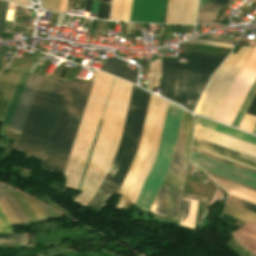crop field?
Listing matches in <instances>:
<instances>
[{
	"label": "crop field",
	"instance_id": "obj_10",
	"mask_svg": "<svg viewBox=\"0 0 256 256\" xmlns=\"http://www.w3.org/2000/svg\"><path fill=\"white\" fill-rule=\"evenodd\" d=\"M167 101H164L161 99L160 101V105H159V110H158V114H157V119H156V123H155V128H154V132H153V137H152V141H151V146H150V150H149V154L145 160V163L141 169V172L136 180V183L132 189V192L128 198L129 201H131L132 203H135L138 194L143 186V183L147 177V174L152 166V163L156 157V153H157V149H158V144H159V140H160V135H161V131H162V126H163V122H164V117H165V113H166V108H167Z\"/></svg>",
	"mask_w": 256,
	"mask_h": 256
},
{
	"label": "crop field",
	"instance_id": "obj_36",
	"mask_svg": "<svg viewBox=\"0 0 256 256\" xmlns=\"http://www.w3.org/2000/svg\"><path fill=\"white\" fill-rule=\"evenodd\" d=\"M104 5H105V3L100 2L97 18L102 19V17H103V11H104Z\"/></svg>",
	"mask_w": 256,
	"mask_h": 256
},
{
	"label": "crop field",
	"instance_id": "obj_46",
	"mask_svg": "<svg viewBox=\"0 0 256 256\" xmlns=\"http://www.w3.org/2000/svg\"><path fill=\"white\" fill-rule=\"evenodd\" d=\"M11 192H13V191H1V192H0V199L3 198V197H5V196H7V195L10 194Z\"/></svg>",
	"mask_w": 256,
	"mask_h": 256
},
{
	"label": "crop field",
	"instance_id": "obj_16",
	"mask_svg": "<svg viewBox=\"0 0 256 256\" xmlns=\"http://www.w3.org/2000/svg\"><path fill=\"white\" fill-rule=\"evenodd\" d=\"M196 123H197V124H200V125H203V126H205V127H208V128L214 129V130H217V131H219V132H222V133L231 135V136H233V137H236V138L245 140V141H247V142L256 144V138H254V137H251V136L245 135V134H243V133H240V132L231 130V129H229V128H226V127L220 126V125H218V124H215V123L206 121V120H204V119L197 118V119H196Z\"/></svg>",
	"mask_w": 256,
	"mask_h": 256
},
{
	"label": "crop field",
	"instance_id": "obj_27",
	"mask_svg": "<svg viewBox=\"0 0 256 256\" xmlns=\"http://www.w3.org/2000/svg\"><path fill=\"white\" fill-rule=\"evenodd\" d=\"M18 237L19 239H0V244L19 243L22 245L29 243L26 233L20 234Z\"/></svg>",
	"mask_w": 256,
	"mask_h": 256
},
{
	"label": "crop field",
	"instance_id": "obj_6",
	"mask_svg": "<svg viewBox=\"0 0 256 256\" xmlns=\"http://www.w3.org/2000/svg\"><path fill=\"white\" fill-rule=\"evenodd\" d=\"M252 50L253 48L242 45L235 55L230 54L228 56L212 76L195 113L208 118H214L232 82Z\"/></svg>",
	"mask_w": 256,
	"mask_h": 256
},
{
	"label": "crop field",
	"instance_id": "obj_45",
	"mask_svg": "<svg viewBox=\"0 0 256 256\" xmlns=\"http://www.w3.org/2000/svg\"><path fill=\"white\" fill-rule=\"evenodd\" d=\"M214 0H208L200 9L199 11H203L210 3H212Z\"/></svg>",
	"mask_w": 256,
	"mask_h": 256
},
{
	"label": "crop field",
	"instance_id": "obj_13",
	"mask_svg": "<svg viewBox=\"0 0 256 256\" xmlns=\"http://www.w3.org/2000/svg\"><path fill=\"white\" fill-rule=\"evenodd\" d=\"M124 64L125 62L115 57L108 58L104 62L101 71L123 78L136 84L138 73L122 67Z\"/></svg>",
	"mask_w": 256,
	"mask_h": 256
},
{
	"label": "crop field",
	"instance_id": "obj_49",
	"mask_svg": "<svg viewBox=\"0 0 256 256\" xmlns=\"http://www.w3.org/2000/svg\"><path fill=\"white\" fill-rule=\"evenodd\" d=\"M101 1H105V2H109V3H111V0H101Z\"/></svg>",
	"mask_w": 256,
	"mask_h": 256
},
{
	"label": "crop field",
	"instance_id": "obj_25",
	"mask_svg": "<svg viewBox=\"0 0 256 256\" xmlns=\"http://www.w3.org/2000/svg\"><path fill=\"white\" fill-rule=\"evenodd\" d=\"M217 13H199L197 23H215Z\"/></svg>",
	"mask_w": 256,
	"mask_h": 256
},
{
	"label": "crop field",
	"instance_id": "obj_30",
	"mask_svg": "<svg viewBox=\"0 0 256 256\" xmlns=\"http://www.w3.org/2000/svg\"><path fill=\"white\" fill-rule=\"evenodd\" d=\"M197 39L215 41V42L226 43V44H232V45H235V43H236L235 40H229V39L218 38V37L207 36V35H203V36H201V37H198Z\"/></svg>",
	"mask_w": 256,
	"mask_h": 256
},
{
	"label": "crop field",
	"instance_id": "obj_43",
	"mask_svg": "<svg viewBox=\"0 0 256 256\" xmlns=\"http://www.w3.org/2000/svg\"><path fill=\"white\" fill-rule=\"evenodd\" d=\"M67 0H62L60 12L65 13Z\"/></svg>",
	"mask_w": 256,
	"mask_h": 256
},
{
	"label": "crop field",
	"instance_id": "obj_40",
	"mask_svg": "<svg viewBox=\"0 0 256 256\" xmlns=\"http://www.w3.org/2000/svg\"><path fill=\"white\" fill-rule=\"evenodd\" d=\"M91 3H92V0H86L85 1L84 11L90 12V10H91Z\"/></svg>",
	"mask_w": 256,
	"mask_h": 256
},
{
	"label": "crop field",
	"instance_id": "obj_41",
	"mask_svg": "<svg viewBox=\"0 0 256 256\" xmlns=\"http://www.w3.org/2000/svg\"><path fill=\"white\" fill-rule=\"evenodd\" d=\"M109 8H110V5L106 3L103 19L108 20V16H109Z\"/></svg>",
	"mask_w": 256,
	"mask_h": 256
},
{
	"label": "crop field",
	"instance_id": "obj_18",
	"mask_svg": "<svg viewBox=\"0 0 256 256\" xmlns=\"http://www.w3.org/2000/svg\"><path fill=\"white\" fill-rule=\"evenodd\" d=\"M256 124V94L239 126V129L252 133Z\"/></svg>",
	"mask_w": 256,
	"mask_h": 256
},
{
	"label": "crop field",
	"instance_id": "obj_29",
	"mask_svg": "<svg viewBox=\"0 0 256 256\" xmlns=\"http://www.w3.org/2000/svg\"><path fill=\"white\" fill-rule=\"evenodd\" d=\"M8 4L9 3L3 2V1L1 3V7H0V33L3 32V30H4L5 16H6Z\"/></svg>",
	"mask_w": 256,
	"mask_h": 256
},
{
	"label": "crop field",
	"instance_id": "obj_42",
	"mask_svg": "<svg viewBox=\"0 0 256 256\" xmlns=\"http://www.w3.org/2000/svg\"><path fill=\"white\" fill-rule=\"evenodd\" d=\"M0 238H17L16 234H0Z\"/></svg>",
	"mask_w": 256,
	"mask_h": 256
},
{
	"label": "crop field",
	"instance_id": "obj_3",
	"mask_svg": "<svg viewBox=\"0 0 256 256\" xmlns=\"http://www.w3.org/2000/svg\"><path fill=\"white\" fill-rule=\"evenodd\" d=\"M70 84L42 78L16 149L41 158Z\"/></svg>",
	"mask_w": 256,
	"mask_h": 256
},
{
	"label": "crop field",
	"instance_id": "obj_12",
	"mask_svg": "<svg viewBox=\"0 0 256 256\" xmlns=\"http://www.w3.org/2000/svg\"><path fill=\"white\" fill-rule=\"evenodd\" d=\"M21 72L6 67L0 73V120L2 121Z\"/></svg>",
	"mask_w": 256,
	"mask_h": 256
},
{
	"label": "crop field",
	"instance_id": "obj_28",
	"mask_svg": "<svg viewBox=\"0 0 256 256\" xmlns=\"http://www.w3.org/2000/svg\"><path fill=\"white\" fill-rule=\"evenodd\" d=\"M23 196H24V195H23ZM24 197H25V196H24ZM25 198H26V200L28 201V203H29V205L31 206V208L33 209V211L35 212V214H36V216L38 217L39 221H44V220H46V218H45V216H44V214H43L41 208L38 206V204H37L35 201H33V200H31V199H29V198H27V197H25Z\"/></svg>",
	"mask_w": 256,
	"mask_h": 256
},
{
	"label": "crop field",
	"instance_id": "obj_21",
	"mask_svg": "<svg viewBox=\"0 0 256 256\" xmlns=\"http://www.w3.org/2000/svg\"><path fill=\"white\" fill-rule=\"evenodd\" d=\"M193 145H194V146H197V147H200V148H202V149H205V150H208V151H211V152L220 154V155H222V156H225V157H228V158L237 160V161H239V162H242V163H245V164H248V165H251V166L256 167V163H255V162H252V161L243 159V158H241V157H238V156H235V155H232V154L223 152V151H221V150H218V149H215V148H212V147L203 145V144H201V143H198V142H195V141H194V144H193Z\"/></svg>",
	"mask_w": 256,
	"mask_h": 256
},
{
	"label": "crop field",
	"instance_id": "obj_44",
	"mask_svg": "<svg viewBox=\"0 0 256 256\" xmlns=\"http://www.w3.org/2000/svg\"><path fill=\"white\" fill-rule=\"evenodd\" d=\"M184 53H193V54H202V55H211V56H221V57H226V56H223V55L206 54V53H197V52H189V51H185Z\"/></svg>",
	"mask_w": 256,
	"mask_h": 256
},
{
	"label": "crop field",
	"instance_id": "obj_11",
	"mask_svg": "<svg viewBox=\"0 0 256 256\" xmlns=\"http://www.w3.org/2000/svg\"><path fill=\"white\" fill-rule=\"evenodd\" d=\"M42 77L36 75H30L21 100L18 104L14 117L9 127V131L16 132L21 131L25 118L35 96L36 90Z\"/></svg>",
	"mask_w": 256,
	"mask_h": 256
},
{
	"label": "crop field",
	"instance_id": "obj_48",
	"mask_svg": "<svg viewBox=\"0 0 256 256\" xmlns=\"http://www.w3.org/2000/svg\"><path fill=\"white\" fill-rule=\"evenodd\" d=\"M207 0H202L201 1V6L206 2Z\"/></svg>",
	"mask_w": 256,
	"mask_h": 256
},
{
	"label": "crop field",
	"instance_id": "obj_50",
	"mask_svg": "<svg viewBox=\"0 0 256 256\" xmlns=\"http://www.w3.org/2000/svg\"><path fill=\"white\" fill-rule=\"evenodd\" d=\"M34 1H36V0H34Z\"/></svg>",
	"mask_w": 256,
	"mask_h": 256
},
{
	"label": "crop field",
	"instance_id": "obj_47",
	"mask_svg": "<svg viewBox=\"0 0 256 256\" xmlns=\"http://www.w3.org/2000/svg\"><path fill=\"white\" fill-rule=\"evenodd\" d=\"M0 189H10V188H8V187H6V186L0 184Z\"/></svg>",
	"mask_w": 256,
	"mask_h": 256
},
{
	"label": "crop field",
	"instance_id": "obj_17",
	"mask_svg": "<svg viewBox=\"0 0 256 256\" xmlns=\"http://www.w3.org/2000/svg\"><path fill=\"white\" fill-rule=\"evenodd\" d=\"M183 200H185V199H183ZM187 201H190V200H187ZM189 206H190V202L183 201L180 222H183L186 219H188ZM197 206H198V202L191 201L189 219L186 220L183 223H180V225L187 226V227L195 229Z\"/></svg>",
	"mask_w": 256,
	"mask_h": 256
},
{
	"label": "crop field",
	"instance_id": "obj_37",
	"mask_svg": "<svg viewBox=\"0 0 256 256\" xmlns=\"http://www.w3.org/2000/svg\"><path fill=\"white\" fill-rule=\"evenodd\" d=\"M193 147H194V146H193ZM194 148H197V147H194ZM197 149L202 150V149H200V148H197ZM202 151H205V150H202ZM205 152H208V151H205ZM208 153H211V152H208ZM211 154L216 155V156H219V157H222V156L217 155V154H214V153H211ZM222 158H225V157H222ZM225 159L230 160V161H233V162H236V163H239V162H237V161H234V160H231V159H228V158H225ZM239 164L244 165V166H247V167H250V168H253V169L256 170V168H254V167H251V166H248V165H245V164H242V163H239Z\"/></svg>",
	"mask_w": 256,
	"mask_h": 256
},
{
	"label": "crop field",
	"instance_id": "obj_22",
	"mask_svg": "<svg viewBox=\"0 0 256 256\" xmlns=\"http://www.w3.org/2000/svg\"><path fill=\"white\" fill-rule=\"evenodd\" d=\"M9 206L12 208L16 216L18 217L21 224L28 223L29 220L26 217V215L23 213V211L20 209V207L17 205V203L14 201V199L10 196L4 198Z\"/></svg>",
	"mask_w": 256,
	"mask_h": 256
},
{
	"label": "crop field",
	"instance_id": "obj_32",
	"mask_svg": "<svg viewBox=\"0 0 256 256\" xmlns=\"http://www.w3.org/2000/svg\"><path fill=\"white\" fill-rule=\"evenodd\" d=\"M131 6H132V0H125L122 21H129Z\"/></svg>",
	"mask_w": 256,
	"mask_h": 256
},
{
	"label": "crop field",
	"instance_id": "obj_5",
	"mask_svg": "<svg viewBox=\"0 0 256 256\" xmlns=\"http://www.w3.org/2000/svg\"><path fill=\"white\" fill-rule=\"evenodd\" d=\"M183 109L169 103L157 157L135 203L149 211L167 168L171 162Z\"/></svg>",
	"mask_w": 256,
	"mask_h": 256
},
{
	"label": "crop field",
	"instance_id": "obj_14",
	"mask_svg": "<svg viewBox=\"0 0 256 256\" xmlns=\"http://www.w3.org/2000/svg\"><path fill=\"white\" fill-rule=\"evenodd\" d=\"M214 181L222 187L228 194L241 198L243 200L252 202L256 204V192L248 190L246 188L222 181L220 179L214 178Z\"/></svg>",
	"mask_w": 256,
	"mask_h": 256
},
{
	"label": "crop field",
	"instance_id": "obj_33",
	"mask_svg": "<svg viewBox=\"0 0 256 256\" xmlns=\"http://www.w3.org/2000/svg\"><path fill=\"white\" fill-rule=\"evenodd\" d=\"M188 43H197V44H206V45H214V46H222V47L233 48L232 45L214 43V42L203 41V40H197V39L190 40V41H188Z\"/></svg>",
	"mask_w": 256,
	"mask_h": 256
},
{
	"label": "crop field",
	"instance_id": "obj_26",
	"mask_svg": "<svg viewBox=\"0 0 256 256\" xmlns=\"http://www.w3.org/2000/svg\"><path fill=\"white\" fill-rule=\"evenodd\" d=\"M41 2L43 8L59 12L61 0H41Z\"/></svg>",
	"mask_w": 256,
	"mask_h": 256
},
{
	"label": "crop field",
	"instance_id": "obj_20",
	"mask_svg": "<svg viewBox=\"0 0 256 256\" xmlns=\"http://www.w3.org/2000/svg\"><path fill=\"white\" fill-rule=\"evenodd\" d=\"M255 92H256V80L253 83V85L251 86V88H250L242 106L240 107V109H239V111H238V113H237V115H236V117H235V119L232 123V126L238 128V126H239V124H240V122H241V120H242V118H243V116H244V114H245V112H246V110H247Z\"/></svg>",
	"mask_w": 256,
	"mask_h": 256
},
{
	"label": "crop field",
	"instance_id": "obj_2",
	"mask_svg": "<svg viewBox=\"0 0 256 256\" xmlns=\"http://www.w3.org/2000/svg\"><path fill=\"white\" fill-rule=\"evenodd\" d=\"M224 58L179 53L178 59H162L160 95L194 111L210 76Z\"/></svg>",
	"mask_w": 256,
	"mask_h": 256
},
{
	"label": "crop field",
	"instance_id": "obj_19",
	"mask_svg": "<svg viewBox=\"0 0 256 256\" xmlns=\"http://www.w3.org/2000/svg\"><path fill=\"white\" fill-rule=\"evenodd\" d=\"M227 215L256 225V214L228 205Z\"/></svg>",
	"mask_w": 256,
	"mask_h": 256
},
{
	"label": "crop field",
	"instance_id": "obj_1",
	"mask_svg": "<svg viewBox=\"0 0 256 256\" xmlns=\"http://www.w3.org/2000/svg\"><path fill=\"white\" fill-rule=\"evenodd\" d=\"M92 83L76 78L72 81L46 147L44 168L64 173ZM149 96V93L133 85L120 147L101 188L88 204L97 210L102 211L112 193L118 192L138 150ZM89 162L79 190H81Z\"/></svg>",
	"mask_w": 256,
	"mask_h": 256
},
{
	"label": "crop field",
	"instance_id": "obj_23",
	"mask_svg": "<svg viewBox=\"0 0 256 256\" xmlns=\"http://www.w3.org/2000/svg\"><path fill=\"white\" fill-rule=\"evenodd\" d=\"M227 203L236 205L238 207H241V208H244V209H247V210H250V211L256 213V205H254L252 203H249V202H246V201H243V200H240L238 198L230 196Z\"/></svg>",
	"mask_w": 256,
	"mask_h": 256
},
{
	"label": "crop field",
	"instance_id": "obj_15",
	"mask_svg": "<svg viewBox=\"0 0 256 256\" xmlns=\"http://www.w3.org/2000/svg\"><path fill=\"white\" fill-rule=\"evenodd\" d=\"M6 202L4 199L0 200V232H14L12 225L20 222Z\"/></svg>",
	"mask_w": 256,
	"mask_h": 256
},
{
	"label": "crop field",
	"instance_id": "obj_38",
	"mask_svg": "<svg viewBox=\"0 0 256 256\" xmlns=\"http://www.w3.org/2000/svg\"><path fill=\"white\" fill-rule=\"evenodd\" d=\"M98 5H99V2H98V1H94V0H93L91 13L97 14V11H98Z\"/></svg>",
	"mask_w": 256,
	"mask_h": 256
},
{
	"label": "crop field",
	"instance_id": "obj_8",
	"mask_svg": "<svg viewBox=\"0 0 256 256\" xmlns=\"http://www.w3.org/2000/svg\"><path fill=\"white\" fill-rule=\"evenodd\" d=\"M159 101H160L159 98H157L153 95L150 96L139 150H138V152L132 162V165L125 177V180L118 192L123 195H122L121 199L119 200V202L117 203L116 208L122 209L123 205L125 204L128 196L131 192V189L135 183V180L140 172V169L144 163V160L148 154Z\"/></svg>",
	"mask_w": 256,
	"mask_h": 256
},
{
	"label": "crop field",
	"instance_id": "obj_31",
	"mask_svg": "<svg viewBox=\"0 0 256 256\" xmlns=\"http://www.w3.org/2000/svg\"><path fill=\"white\" fill-rule=\"evenodd\" d=\"M229 0H215L204 11H219Z\"/></svg>",
	"mask_w": 256,
	"mask_h": 256
},
{
	"label": "crop field",
	"instance_id": "obj_35",
	"mask_svg": "<svg viewBox=\"0 0 256 256\" xmlns=\"http://www.w3.org/2000/svg\"><path fill=\"white\" fill-rule=\"evenodd\" d=\"M206 172H207L209 175H211V176H214V177L220 178V179H222V180H225V181H228V182H231V183H234V184H237V185H240V186H243V187H246V188H248V189H251V190L256 191V189H255V188H252V187H250V186H247V185H244V184L238 183V182H236V181H233V180H230V179L224 178V177H222V176H219V175H216V174L210 173V172H208V171H206Z\"/></svg>",
	"mask_w": 256,
	"mask_h": 256
},
{
	"label": "crop field",
	"instance_id": "obj_34",
	"mask_svg": "<svg viewBox=\"0 0 256 256\" xmlns=\"http://www.w3.org/2000/svg\"><path fill=\"white\" fill-rule=\"evenodd\" d=\"M192 150H193V151H196V152H199V153H201V154H204V155H207V156H210V157H213V158L219 159V160H221V161H224V162H227V163H230V164L236 165V166H238V167H241V168H244V169H247V170L253 171V172H255V173H256V171H255V170H253V169H250V168H247V167L241 166V165H239V164H236V163H233V162L227 161V160H225V159H222V158H219V157L213 156V155H211V154H208V153H205V152L199 151V150L194 149V148H193Z\"/></svg>",
	"mask_w": 256,
	"mask_h": 256
},
{
	"label": "crop field",
	"instance_id": "obj_7",
	"mask_svg": "<svg viewBox=\"0 0 256 256\" xmlns=\"http://www.w3.org/2000/svg\"><path fill=\"white\" fill-rule=\"evenodd\" d=\"M256 78V47L235 79L225 97L215 120L231 125L250 86Z\"/></svg>",
	"mask_w": 256,
	"mask_h": 256
},
{
	"label": "crop field",
	"instance_id": "obj_9",
	"mask_svg": "<svg viewBox=\"0 0 256 256\" xmlns=\"http://www.w3.org/2000/svg\"><path fill=\"white\" fill-rule=\"evenodd\" d=\"M190 162L202 169L239 181L256 188V174L216 159L193 152Z\"/></svg>",
	"mask_w": 256,
	"mask_h": 256
},
{
	"label": "crop field",
	"instance_id": "obj_24",
	"mask_svg": "<svg viewBox=\"0 0 256 256\" xmlns=\"http://www.w3.org/2000/svg\"><path fill=\"white\" fill-rule=\"evenodd\" d=\"M194 140H195V141H198V142H201V143H203V144H206V145H209V146H212V147L221 149V150H223V151H226V152H229V153H232V154H235V155H238V156H241V157H243V158H246V159H249V160H252V161H255V162H256V159H255V158H252V157L243 155V154H241V153H238V152H235V151H232V150L223 148V147H221V146H218V145H215V144H212V143L203 141V140L198 139V138H195V137H194Z\"/></svg>",
	"mask_w": 256,
	"mask_h": 256
},
{
	"label": "crop field",
	"instance_id": "obj_4",
	"mask_svg": "<svg viewBox=\"0 0 256 256\" xmlns=\"http://www.w3.org/2000/svg\"><path fill=\"white\" fill-rule=\"evenodd\" d=\"M180 126L182 127V131L180 128L172 162L170 164V167L165 177L184 182L188 162L182 161L184 148L178 147V143H179V137H180V131H181L179 146L185 147L183 160L188 161L189 149H190L191 137H192V128H193L192 115L184 111ZM183 185L184 183L182 182L165 178L157 193V196L160 197V199L157 197L155 198L149 212H153L164 217L167 211L166 209H168L165 217L178 221L179 215L173 214V210H174L176 192L182 193ZM181 197H182V194L177 193L174 213L179 214ZM158 199L163 201V203L158 201ZM161 203H162V206H161ZM160 206L166 209H162L160 208Z\"/></svg>",
	"mask_w": 256,
	"mask_h": 256
},
{
	"label": "crop field",
	"instance_id": "obj_39",
	"mask_svg": "<svg viewBox=\"0 0 256 256\" xmlns=\"http://www.w3.org/2000/svg\"><path fill=\"white\" fill-rule=\"evenodd\" d=\"M183 197H186V198H192V199H197V200H201V201H205V202H211L210 199H205V198H200V197H195V196H190V195H185Z\"/></svg>",
	"mask_w": 256,
	"mask_h": 256
}]
</instances>
